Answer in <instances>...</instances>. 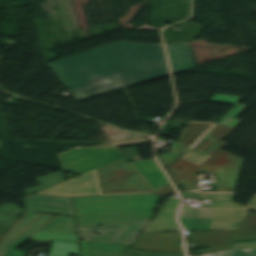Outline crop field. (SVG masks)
Segmentation results:
<instances>
[{
	"mask_svg": "<svg viewBox=\"0 0 256 256\" xmlns=\"http://www.w3.org/2000/svg\"><path fill=\"white\" fill-rule=\"evenodd\" d=\"M28 212L73 216L69 198L33 195L26 198Z\"/></svg>",
	"mask_w": 256,
	"mask_h": 256,
	"instance_id": "28ad6ade",
	"label": "crop field"
},
{
	"mask_svg": "<svg viewBox=\"0 0 256 256\" xmlns=\"http://www.w3.org/2000/svg\"><path fill=\"white\" fill-rule=\"evenodd\" d=\"M166 47L173 73L194 67L188 42L170 44Z\"/></svg>",
	"mask_w": 256,
	"mask_h": 256,
	"instance_id": "d9b57169",
	"label": "crop field"
},
{
	"mask_svg": "<svg viewBox=\"0 0 256 256\" xmlns=\"http://www.w3.org/2000/svg\"><path fill=\"white\" fill-rule=\"evenodd\" d=\"M132 86L108 77L97 75L87 83L78 87L74 91H70L74 97L80 101L97 95L115 91L121 88Z\"/></svg>",
	"mask_w": 256,
	"mask_h": 256,
	"instance_id": "d1516ede",
	"label": "crop field"
},
{
	"mask_svg": "<svg viewBox=\"0 0 256 256\" xmlns=\"http://www.w3.org/2000/svg\"><path fill=\"white\" fill-rule=\"evenodd\" d=\"M179 198H171L158 212L156 218L148 224L143 232L181 231L175 221Z\"/></svg>",
	"mask_w": 256,
	"mask_h": 256,
	"instance_id": "22f410ed",
	"label": "crop field"
},
{
	"mask_svg": "<svg viewBox=\"0 0 256 256\" xmlns=\"http://www.w3.org/2000/svg\"><path fill=\"white\" fill-rule=\"evenodd\" d=\"M48 65L68 90H74L97 74L132 85L169 74L162 45L124 40Z\"/></svg>",
	"mask_w": 256,
	"mask_h": 256,
	"instance_id": "8a807250",
	"label": "crop field"
},
{
	"mask_svg": "<svg viewBox=\"0 0 256 256\" xmlns=\"http://www.w3.org/2000/svg\"><path fill=\"white\" fill-rule=\"evenodd\" d=\"M151 218L78 226L79 239L120 242L132 245ZM129 223V224H127ZM103 225V227H98ZM94 232L100 235L93 234Z\"/></svg>",
	"mask_w": 256,
	"mask_h": 256,
	"instance_id": "dd49c442",
	"label": "crop field"
},
{
	"mask_svg": "<svg viewBox=\"0 0 256 256\" xmlns=\"http://www.w3.org/2000/svg\"><path fill=\"white\" fill-rule=\"evenodd\" d=\"M69 254L79 256L77 244L55 242L50 256H69Z\"/></svg>",
	"mask_w": 256,
	"mask_h": 256,
	"instance_id": "bc2a9ffb",
	"label": "crop field"
},
{
	"mask_svg": "<svg viewBox=\"0 0 256 256\" xmlns=\"http://www.w3.org/2000/svg\"><path fill=\"white\" fill-rule=\"evenodd\" d=\"M242 98L240 97H233V96H225L217 94L214 98L211 100L213 101H220V102H226V103H233L237 104ZM246 106L237 104L236 107L228 114L226 115L218 124L223 125H230V126H236L238 123H240V120L234 119L240 112H242Z\"/></svg>",
	"mask_w": 256,
	"mask_h": 256,
	"instance_id": "733c2abd",
	"label": "crop field"
},
{
	"mask_svg": "<svg viewBox=\"0 0 256 256\" xmlns=\"http://www.w3.org/2000/svg\"><path fill=\"white\" fill-rule=\"evenodd\" d=\"M188 237L202 247L210 246L193 252L196 255L232 249L235 242L256 240V214L247 213L236 230L191 232Z\"/></svg>",
	"mask_w": 256,
	"mask_h": 256,
	"instance_id": "412701ff",
	"label": "crop field"
},
{
	"mask_svg": "<svg viewBox=\"0 0 256 256\" xmlns=\"http://www.w3.org/2000/svg\"><path fill=\"white\" fill-rule=\"evenodd\" d=\"M234 194L200 195L183 193V198H217L215 208L189 207L181 209L180 221L185 230H225L236 229L248 208L232 202Z\"/></svg>",
	"mask_w": 256,
	"mask_h": 256,
	"instance_id": "34b2d1b8",
	"label": "crop field"
},
{
	"mask_svg": "<svg viewBox=\"0 0 256 256\" xmlns=\"http://www.w3.org/2000/svg\"><path fill=\"white\" fill-rule=\"evenodd\" d=\"M39 193L62 196H77L101 194V191L99 188L97 172L95 170Z\"/></svg>",
	"mask_w": 256,
	"mask_h": 256,
	"instance_id": "3316defc",
	"label": "crop field"
},
{
	"mask_svg": "<svg viewBox=\"0 0 256 256\" xmlns=\"http://www.w3.org/2000/svg\"><path fill=\"white\" fill-rule=\"evenodd\" d=\"M46 240H53V243L54 241L77 243L74 218L55 216L30 239L37 244H53Z\"/></svg>",
	"mask_w": 256,
	"mask_h": 256,
	"instance_id": "5a996713",
	"label": "crop field"
},
{
	"mask_svg": "<svg viewBox=\"0 0 256 256\" xmlns=\"http://www.w3.org/2000/svg\"><path fill=\"white\" fill-rule=\"evenodd\" d=\"M221 125H215L208 133L207 135L211 136Z\"/></svg>",
	"mask_w": 256,
	"mask_h": 256,
	"instance_id": "00972430",
	"label": "crop field"
},
{
	"mask_svg": "<svg viewBox=\"0 0 256 256\" xmlns=\"http://www.w3.org/2000/svg\"><path fill=\"white\" fill-rule=\"evenodd\" d=\"M131 164L135 170L143 176L153 191L169 184L166 175L157 166L153 159L132 162Z\"/></svg>",
	"mask_w": 256,
	"mask_h": 256,
	"instance_id": "cbeb9de0",
	"label": "crop field"
},
{
	"mask_svg": "<svg viewBox=\"0 0 256 256\" xmlns=\"http://www.w3.org/2000/svg\"><path fill=\"white\" fill-rule=\"evenodd\" d=\"M51 218H53V216L33 214L26 211L25 214L14 223L0 242V256L4 255L7 247L18 248Z\"/></svg>",
	"mask_w": 256,
	"mask_h": 256,
	"instance_id": "e52e79f7",
	"label": "crop field"
},
{
	"mask_svg": "<svg viewBox=\"0 0 256 256\" xmlns=\"http://www.w3.org/2000/svg\"><path fill=\"white\" fill-rule=\"evenodd\" d=\"M181 232L142 233L131 249L184 255Z\"/></svg>",
	"mask_w": 256,
	"mask_h": 256,
	"instance_id": "d8731c3e",
	"label": "crop field"
},
{
	"mask_svg": "<svg viewBox=\"0 0 256 256\" xmlns=\"http://www.w3.org/2000/svg\"><path fill=\"white\" fill-rule=\"evenodd\" d=\"M108 146H114V145H108ZM98 147H107V146H98ZM87 148H89V147H87Z\"/></svg>",
	"mask_w": 256,
	"mask_h": 256,
	"instance_id": "730fd06b",
	"label": "crop field"
},
{
	"mask_svg": "<svg viewBox=\"0 0 256 256\" xmlns=\"http://www.w3.org/2000/svg\"><path fill=\"white\" fill-rule=\"evenodd\" d=\"M36 179L40 186L24 190L27 195L56 186L65 181L62 171L37 177Z\"/></svg>",
	"mask_w": 256,
	"mask_h": 256,
	"instance_id": "4a817a6b",
	"label": "crop field"
},
{
	"mask_svg": "<svg viewBox=\"0 0 256 256\" xmlns=\"http://www.w3.org/2000/svg\"><path fill=\"white\" fill-rule=\"evenodd\" d=\"M157 194H129L74 199L78 225L153 216ZM160 208V207H158Z\"/></svg>",
	"mask_w": 256,
	"mask_h": 256,
	"instance_id": "ac0d7876",
	"label": "crop field"
},
{
	"mask_svg": "<svg viewBox=\"0 0 256 256\" xmlns=\"http://www.w3.org/2000/svg\"><path fill=\"white\" fill-rule=\"evenodd\" d=\"M234 127L223 126L218 132H216L212 137L221 141Z\"/></svg>",
	"mask_w": 256,
	"mask_h": 256,
	"instance_id": "214f88e0",
	"label": "crop field"
},
{
	"mask_svg": "<svg viewBox=\"0 0 256 256\" xmlns=\"http://www.w3.org/2000/svg\"><path fill=\"white\" fill-rule=\"evenodd\" d=\"M26 254L23 251L13 250L11 248H7V252L5 256H25Z\"/></svg>",
	"mask_w": 256,
	"mask_h": 256,
	"instance_id": "92a150f3",
	"label": "crop field"
},
{
	"mask_svg": "<svg viewBox=\"0 0 256 256\" xmlns=\"http://www.w3.org/2000/svg\"><path fill=\"white\" fill-rule=\"evenodd\" d=\"M201 194H221V193H201Z\"/></svg>",
	"mask_w": 256,
	"mask_h": 256,
	"instance_id": "4177f3b9",
	"label": "crop field"
},
{
	"mask_svg": "<svg viewBox=\"0 0 256 256\" xmlns=\"http://www.w3.org/2000/svg\"><path fill=\"white\" fill-rule=\"evenodd\" d=\"M246 207L256 211V196L246 205Z\"/></svg>",
	"mask_w": 256,
	"mask_h": 256,
	"instance_id": "dafd665d",
	"label": "crop field"
},
{
	"mask_svg": "<svg viewBox=\"0 0 256 256\" xmlns=\"http://www.w3.org/2000/svg\"><path fill=\"white\" fill-rule=\"evenodd\" d=\"M158 159H159L160 163L162 164L163 168L166 167V166L164 165V163H163L161 157H159Z\"/></svg>",
	"mask_w": 256,
	"mask_h": 256,
	"instance_id": "a9b5d70f",
	"label": "crop field"
},
{
	"mask_svg": "<svg viewBox=\"0 0 256 256\" xmlns=\"http://www.w3.org/2000/svg\"><path fill=\"white\" fill-rule=\"evenodd\" d=\"M81 256H123L130 245L120 243L80 241Z\"/></svg>",
	"mask_w": 256,
	"mask_h": 256,
	"instance_id": "5142ce71",
	"label": "crop field"
},
{
	"mask_svg": "<svg viewBox=\"0 0 256 256\" xmlns=\"http://www.w3.org/2000/svg\"><path fill=\"white\" fill-rule=\"evenodd\" d=\"M63 170L85 174L125 159L117 147L74 149L59 154Z\"/></svg>",
	"mask_w": 256,
	"mask_h": 256,
	"instance_id": "f4fd0767",
	"label": "crop field"
}]
</instances>
